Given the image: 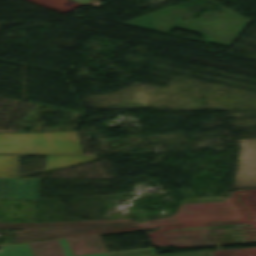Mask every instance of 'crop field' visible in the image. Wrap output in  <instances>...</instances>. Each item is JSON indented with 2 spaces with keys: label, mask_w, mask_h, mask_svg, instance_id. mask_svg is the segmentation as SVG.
Returning a JSON list of instances; mask_svg holds the SVG:
<instances>
[{
  "label": "crop field",
  "mask_w": 256,
  "mask_h": 256,
  "mask_svg": "<svg viewBox=\"0 0 256 256\" xmlns=\"http://www.w3.org/2000/svg\"><path fill=\"white\" fill-rule=\"evenodd\" d=\"M0 153L82 154L75 131L0 133Z\"/></svg>",
  "instance_id": "obj_1"
},
{
  "label": "crop field",
  "mask_w": 256,
  "mask_h": 256,
  "mask_svg": "<svg viewBox=\"0 0 256 256\" xmlns=\"http://www.w3.org/2000/svg\"><path fill=\"white\" fill-rule=\"evenodd\" d=\"M39 198V179L0 178V199Z\"/></svg>",
  "instance_id": "obj_2"
},
{
  "label": "crop field",
  "mask_w": 256,
  "mask_h": 256,
  "mask_svg": "<svg viewBox=\"0 0 256 256\" xmlns=\"http://www.w3.org/2000/svg\"><path fill=\"white\" fill-rule=\"evenodd\" d=\"M66 240L74 255L106 252L98 235Z\"/></svg>",
  "instance_id": "obj_3"
},
{
  "label": "crop field",
  "mask_w": 256,
  "mask_h": 256,
  "mask_svg": "<svg viewBox=\"0 0 256 256\" xmlns=\"http://www.w3.org/2000/svg\"><path fill=\"white\" fill-rule=\"evenodd\" d=\"M34 256H65L58 240L28 243Z\"/></svg>",
  "instance_id": "obj_4"
},
{
  "label": "crop field",
  "mask_w": 256,
  "mask_h": 256,
  "mask_svg": "<svg viewBox=\"0 0 256 256\" xmlns=\"http://www.w3.org/2000/svg\"><path fill=\"white\" fill-rule=\"evenodd\" d=\"M93 160L95 156H47L46 171Z\"/></svg>",
  "instance_id": "obj_5"
},
{
  "label": "crop field",
  "mask_w": 256,
  "mask_h": 256,
  "mask_svg": "<svg viewBox=\"0 0 256 256\" xmlns=\"http://www.w3.org/2000/svg\"><path fill=\"white\" fill-rule=\"evenodd\" d=\"M0 256H33L27 243L0 246Z\"/></svg>",
  "instance_id": "obj_6"
},
{
  "label": "crop field",
  "mask_w": 256,
  "mask_h": 256,
  "mask_svg": "<svg viewBox=\"0 0 256 256\" xmlns=\"http://www.w3.org/2000/svg\"><path fill=\"white\" fill-rule=\"evenodd\" d=\"M0 177H17L16 156H0Z\"/></svg>",
  "instance_id": "obj_7"
},
{
  "label": "crop field",
  "mask_w": 256,
  "mask_h": 256,
  "mask_svg": "<svg viewBox=\"0 0 256 256\" xmlns=\"http://www.w3.org/2000/svg\"><path fill=\"white\" fill-rule=\"evenodd\" d=\"M156 254L153 248L108 253L109 256H145Z\"/></svg>",
  "instance_id": "obj_8"
},
{
  "label": "crop field",
  "mask_w": 256,
  "mask_h": 256,
  "mask_svg": "<svg viewBox=\"0 0 256 256\" xmlns=\"http://www.w3.org/2000/svg\"><path fill=\"white\" fill-rule=\"evenodd\" d=\"M59 241H60V243L63 247V250H64L66 256H73L66 240L62 239V240H59ZM79 256H107V254L106 253H99V254H89V255H79Z\"/></svg>",
  "instance_id": "obj_9"
},
{
  "label": "crop field",
  "mask_w": 256,
  "mask_h": 256,
  "mask_svg": "<svg viewBox=\"0 0 256 256\" xmlns=\"http://www.w3.org/2000/svg\"><path fill=\"white\" fill-rule=\"evenodd\" d=\"M160 256H211L209 251L200 252H190V253H180V254H170V255H160Z\"/></svg>",
  "instance_id": "obj_10"
},
{
  "label": "crop field",
  "mask_w": 256,
  "mask_h": 256,
  "mask_svg": "<svg viewBox=\"0 0 256 256\" xmlns=\"http://www.w3.org/2000/svg\"><path fill=\"white\" fill-rule=\"evenodd\" d=\"M75 1H78V2H80L82 4H84L87 0H75Z\"/></svg>",
  "instance_id": "obj_11"
},
{
  "label": "crop field",
  "mask_w": 256,
  "mask_h": 256,
  "mask_svg": "<svg viewBox=\"0 0 256 256\" xmlns=\"http://www.w3.org/2000/svg\"><path fill=\"white\" fill-rule=\"evenodd\" d=\"M94 1H96V0H89L88 2L85 3V5H87V4L91 3V2H94Z\"/></svg>",
  "instance_id": "obj_12"
}]
</instances>
